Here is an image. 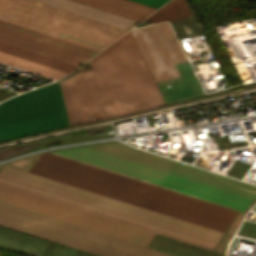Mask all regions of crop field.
<instances>
[{
	"instance_id": "obj_11",
	"label": "crop field",
	"mask_w": 256,
	"mask_h": 256,
	"mask_svg": "<svg viewBox=\"0 0 256 256\" xmlns=\"http://www.w3.org/2000/svg\"><path fill=\"white\" fill-rule=\"evenodd\" d=\"M190 15L191 13L185 0H171L144 21L156 23L166 20H177Z\"/></svg>"
},
{
	"instance_id": "obj_5",
	"label": "crop field",
	"mask_w": 256,
	"mask_h": 256,
	"mask_svg": "<svg viewBox=\"0 0 256 256\" xmlns=\"http://www.w3.org/2000/svg\"><path fill=\"white\" fill-rule=\"evenodd\" d=\"M0 202L146 246L152 232L0 185Z\"/></svg>"
},
{
	"instance_id": "obj_8",
	"label": "crop field",
	"mask_w": 256,
	"mask_h": 256,
	"mask_svg": "<svg viewBox=\"0 0 256 256\" xmlns=\"http://www.w3.org/2000/svg\"><path fill=\"white\" fill-rule=\"evenodd\" d=\"M82 16H86L123 29H130L138 21L125 18L72 0H36Z\"/></svg>"
},
{
	"instance_id": "obj_2",
	"label": "crop field",
	"mask_w": 256,
	"mask_h": 256,
	"mask_svg": "<svg viewBox=\"0 0 256 256\" xmlns=\"http://www.w3.org/2000/svg\"><path fill=\"white\" fill-rule=\"evenodd\" d=\"M130 34L154 81L179 76L172 63L186 58L168 23ZM88 62L93 70L59 83L70 126L164 104L128 32Z\"/></svg>"
},
{
	"instance_id": "obj_10",
	"label": "crop field",
	"mask_w": 256,
	"mask_h": 256,
	"mask_svg": "<svg viewBox=\"0 0 256 256\" xmlns=\"http://www.w3.org/2000/svg\"><path fill=\"white\" fill-rule=\"evenodd\" d=\"M0 62L32 72L36 73L54 80H58L68 73L58 71L43 65H39L24 59H20L5 53L0 52Z\"/></svg>"
},
{
	"instance_id": "obj_13",
	"label": "crop field",
	"mask_w": 256,
	"mask_h": 256,
	"mask_svg": "<svg viewBox=\"0 0 256 256\" xmlns=\"http://www.w3.org/2000/svg\"><path fill=\"white\" fill-rule=\"evenodd\" d=\"M158 9L168 0H131Z\"/></svg>"
},
{
	"instance_id": "obj_1",
	"label": "crop field",
	"mask_w": 256,
	"mask_h": 256,
	"mask_svg": "<svg viewBox=\"0 0 256 256\" xmlns=\"http://www.w3.org/2000/svg\"><path fill=\"white\" fill-rule=\"evenodd\" d=\"M162 187L177 161L115 144L57 153ZM45 152L29 172L125 201L138 180ZM4 165L0 184L212 250L256 186L178 162L163 188L139 181L127 200L134 206Z\"/></svg>"
},
{
	"instance_id": "obj_4",
	"label": "crop field",
	"mask_w": 256,
	"mask_h": 256,
	"mask_svg": "<svg viewBox=\"0 0 256 256\" xmlns=\"http://www.w3.org/2000/svg\"><path fill=\"white\" fill-rule=\"evenodd\" d=\"M0 225L100 256H172L2 203Z\"/></svg>"
},
{
	"instance_id": "obj_12",
	"label": "crop field",
	"mask_w": 256,
	"mask_h": 256,
	"mask_svg": "<svg viewBox=\"0 0 256 256\" xmlns=\"http://www.w3.org/2000/svg\"><path fill=\"white\" fill-rule=\"evenodd\" d=\"M104 1L131 9V10H135V11L147 14V15L151 14L152 12H154L156 10V9H153V8H150V7L138 4V3H134V2H131L128 0H104Z\"/></svg>"
},
{
	"instance_id": "obj_6",
	"label": "crop field",
	"mask_w": 256,
	"mask_h": 256,
	"mask_svg": "<svg viewBox=\"0 0 256 256\" xmlns=\"http://www.w3.org/2000/svg\"><path fill=\"white\" fill-rule=\"evenodd\" d=\"M64 109L58 82L0 103V123Z\"/></svg>"
},
{
	"instance_id": "obj_7",
	"label": "crop field",
	"mask_w": 256,
	"mask_h": 256,
	"mask_svg": "<svg viewBox=\"0 0 256 256\" xmlns=\"http://www.w3.org/2000/svg\"><path fill=\"white\" fill-rule=\"evenodd\" d=\"M68 126L65 111L0 124V141Z\"/></svg>"
},
{
	"instance_id": "obj_3",
	"label": "crop field",
	"mask_w": 256,
	"mask_h": 256,
	"mask_svg": "<svg viewBox=\"0 0 256 256\" xmlns=\"http://www.w3.org/2000/svg\"><path fill=\"white\" fill-rule=\"evenodd\" d=\"M126 30L33 0H0V41L74 65H81L100 47Z\"/></svg>"
},
{
	"instance_id": "obj_9",
	"label": "crop field",
	"mask_w": 256,
	"mask_h": 256,
	"mask_svg": "<svg viewBox=\"0 0 256 256\" xmlns=\"http://www.w3.org/2000/svg\"><path fill=\"white\" fill-rule=\"evenodd\" d=\"M0 51L70 73L77 66L0 42Z\"/></svg>"
}]
</instances>
